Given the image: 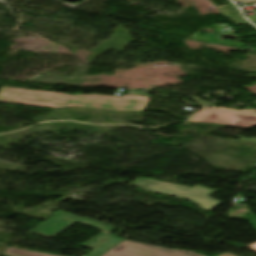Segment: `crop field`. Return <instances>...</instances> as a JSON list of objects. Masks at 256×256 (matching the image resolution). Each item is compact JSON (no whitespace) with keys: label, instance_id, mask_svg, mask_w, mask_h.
I'll use <instances>...</instances> for the list:
<instances>
[{"label":"crop field","instance_id":"8a807250","mask_svg":"<svg viewBox=\"0 0 256 256\" xmlns=\"http://www.w3.org/2000/svg\"><path fill=\"white\" fill-rule=\"evenodd\" d=\"M150 98L151 97L141 95H126L122 97L99 94L68 95L6 87H1L0 89V103L54 109H64L75 106L108 111L144 112L149 105Z\"/></svg>","mask_w":256,"mask_h":256},{"label":"crop field","instance_id":"ac0d7876","mask_svg":"<svg viewBox=\"0 0 256 256\" xmlns=\"http://www.w3.org/2000/svg\"><path fill=\"white\" fill-rule=\"evenodd\" d=\"M131 185L142 187L145 190L190 200L199 207L208 211L212 210L213 208L222 203L208 196L209 194L216 192L217 190L198 186L189 188L155 180L153 178H138Z\"/></svg>","mask_w":256,"mask_h":256},{"label":"crop field","instance_id":"34b2d1b8","mask_svg":"<svg viewBox=\"0 0 256 256\" xmlns=\"http://www.w3.org/2000/svg\"><path fill=\"white\" fill-rule=\"evenodd\" d=\"M189 121L218 123L249 129L256 126V108L236 110L209 107L200 110Z\"/></svg>","mask_w":256,"mask_h":256},{"label":"crop field","instance_id":"412701ff","mask_svg":"<svg viewBox=\"0 0 256 256\" xmlns=\"http://www.w3.org/2000/svg\"><path fill=\"white\" fill-rule=\"evenodd\" d=\"M53 214L55 215L31 230L30 233L53 238L77 222L107 233H111L117 229L86 217L80 218L59 210Z\"/></svg>","mask_w":256,"mask_h":256},{"label":"crop field","instance_id":"f4fd0767","mask_svg":"<svg viewBox=\"0 0 256 256\" xmlns=\"http://www.w3.org/2000/svg\"><path fill=\"white\" fill-rule=\"evenodd\" d=\"M101 256H203L125 240Z\"/></svg>","mask_w":256,"mask_h":256},{"label":"crop field","instance_id":"dd49c442","mask_svg":"<svg viewBox=\"0 0 256 256\" xmlns=\"http://www.w3.org/2000/svg\"><path fill=\"white\" fill-rule=\"evenodd\" d=\"M95 240L97 241L94 242ZM122 240L124 239L116 237L112 234H106L102 232L101 234L86 242L82 246L92 248L91 250H93L86 256H98L99 254L116 245Z\"/></svg>","mask_w":256,"mask_h":256},{"label":"crop field","instance_id":"e52e79f7","mask_svg":"<svg viewBox=\"0 0 256 256\" xmlns=\"http://www.w3.org/2000/svg\"><path fill=\"white\" fill-rule=\"evenodd\" d=\"M219 12L229 17L237 24L243 25L248 23L242 18L241 14L238 12L233 4L219 8Z\"/></svg>","mask_w":256,"mask_h":256},{"label":"crop field","instance_id":"d8731c3e","mask_svg":"<svg viewBox=\"0 0 256 256\" xmlns=\"http://www.w3.org/2000/svg\"><path fill=\"white\" fill-rule=\"evenodd\" d=\"M1 256H56L8 247Z\"/></svg>","mask_w":256,"mask_h":256},{"label":"crop field","instance_id":"5a996713","mask_svg":"<svg viewBox=\"0 0 256 256\" xmlns=\"http://www.w3.org/2000/svg\"><path fill=\"white\" fill-rule=\"evenodd\" d=\"M236 137H238L240 139H243V140H246V141H250V142L256 143V139H252V138L248 139V138H244V137H240V136H236Z\"/></svg>","mask_w":256,"mask_h":256},{"label":"crop field","instance_id":"3316defc","mask_svg":"<svg viewBox=\"0 0 256 256\" xmlns=\"http://www.w3.org/2000/svg\"><path fill=\"white\" fill-rule=\"evenodd\" d=\"M234 1H242L244 4L256 2V0H234Z\"/></svg>","mask_w":256,"mask_h":256},{"label":"crop field","instance_id":"28ad6ade","mask_svg":"<svg viewBox=\"0 0 256 256\" xmlns=\"http://www.w3.org/2000/svg\"><path fill=\"white\" fill-rule=\"evenodd\" d=\"M247 247H249L251 250H253L254 252H256V242L253 243V244H251V245H249V246H247Z\"/></svg>","mask_w":256,"mask_h":256},{"label":"crop field","instance_id":"d1516ede","mask_svg":"<svg viewBox=\"0 0 256 256\" xmlns=\"http://www.w3.org/2000/svg\"><path fill=\"white\" fill-rule=\"evenodd\" d=\"M221 256H233V255H231V254H229V253H226V254L221 255Z\"/></svg>","mask_w":256,"mask_h":256}]
</instances>
